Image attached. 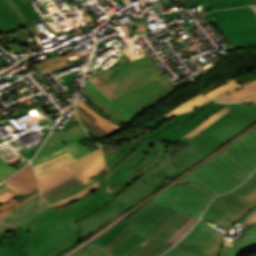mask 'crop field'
Segmentation results:
<instances>
[{
  "mask_svg": "<svg viewBox=\"0 0 256 256\" xmlns=\"http://www.w3.org/2000/svg\"><path fill=\"white\" fill-rule=\"evenodd\" d=\"M104 169V158L101 155L76 171L63 167L39 179L40 190L43 195L41 193L36 195L12 212L1 217L0 223L17 227L51 206L57 209L89 195L102 186L95 182L51 205L45 201L90 180Z\"/></svg>",
  "mask_w": 256,
  "mask_h": 256,
  "instance_id": "obj_1",
  "label": "crop field"
},
{
  "mask_svg": "<svg viewBox=\"0 0 256 256\" xmlns=\"http://www.w3.org/2000/svg\"><path fill=\"white\" fill-rule=\"evenodd\" d=\"M255 169L256 129L198 167L176 185L195 181L218 195L238 186Z\"/></svg>",
  "mask_w": 256,
  "mask_h": 256,
  "instance_id": "obj_2",
  "label": "crop field"
},
{
  "mask_svg": "<svg viewBox=\"0 0 256 256\" xmlns=\"http://www.w3.org/2000/svg\"><path fill=\"white\" fill-rule=\"evenodd\" d=\"M232 112H228L193 138L179 140L190 145L173 157L180 172L170 180L195 166L220 145L253 124Z\"/></svg>",
  "mask_w": 256,
  "mask_h": 256,
  "instance_id": "obj_3",
  "label": "crop field"
},
{
  "mask_svg": "<svg viewBox=\"0 0 256 256\" xmlns=\"http://www.w3.org/2000/svg\"><path fill=\"white\" fill-rule=\"evenodd\" d=\"M168 93L169 91L156 79L113 99L125 109L123 110L104 96L91 82L85 84L84 92H82L99 109L126 124L151 107L154 102L167 96Z\"/></svg>",
  "mask_w": 256,
  "mask_h": 256,
  "instance_id": "obj_4",
  "label": "crop field"
},
{
  "mask_svg": "<svg viewBox=\"0 0 256 256\" xmlns=\"http://www.w3.org/2000/svg\"><path fill=\"white\" fill-rule=\"evenodd\" d=\"M158 188L160 187L138 179L109 204L95 211L86 218L75 222L82 228L78 235L84 237L107 224L120 213L126 211Z\"/></svg>",
  "mask_w": 256,
  "mask_h": 256,
  "instance_id": "obj_5",
  "label": "crop field"
},
{
  "mask_svg": "<svg viewBox=\"0 0 256 256\" xmlns=\"http://www.w3.org/2000/svg\"><path fill=\"white\" fill-rule=\"evenodd\" d=\"M216 26L237 48L256 46V14L250 7L212 11Z\"/></svg>",
  "mask_w": 256,
  "mask_h": 256,
  "instance_id": "obj_6",
  "label": "crop field"
},
{
  "mask_svg": "<svg viewBox=\"0 0 256 256\" xmlns=\"http://www.w3.org/2000/svg\"><path fill=\"white\" fill-rule=\"evenodd\" d=\"M73 222L75 221L59 208L55 210L52 207L18 227L27 228L30 226L32 228L29 242L30 252L32 256H37L53 246L55 243L50 240Z\"/></svg>",
  "mask_w": 256,
  "mask_h": 256,
  "instance_id": "obj_7",
  "label": "crop field"
},
{
  "mask_svg": "<svg viewBox=\"0 0 256 256\" xmlns=\"http://www.w3.org/2000/svg\"><path fill=\"white\" fill-rule=\"evenodd\" d=\"M213 197L214 195L201 186L190 183L182 186H173L152 200L198 218Z\"/></svg>",
  "mask_w": 256,
  "mask_h": 256,
  "instance_id": "obj_8",
  "label": "crop field"
},
{
  "mask_svg": "<svg viewBox=\"0 0 256 256\" xmlns=\"http://www.w3.org/2000/svg\"><path fill=\"white\" fill-rule=\"evenodd\" d=\"M148 142H130L111 146L104 153L107 173L98 182L107 190L136 169L128 167ZM122 158V160H121Z\"/></svg>",
  "mask_w": 256,
  "mask_h": 256,
  "instance_id": "obj_9",
  "label": "crop field"
},
{
  "mask_svg": "<svg viewBox=\"0 0 256 256\" xmlns=\"http://www.w3.org/2000/svg\"><path fill=\"white\" fill-rule=\"evenodd\" d=\"M88 138L81 125L49 135L32 161L33 166L68 152L76 160L89 153L77 141Z\"/></svg>",
  "mask_w": 256,
  "mask_h": 256,
  "instance_id": "obj_10",
  "label": "crop field"
},
{
  "mask_svg": "<svg viewBox=\"0 0 256 256\" xmlns=\"http://www.w3.org/2000/svg\"><path fill=\"white\" fill-rule=\"evenodd\" d=\"M254 205L228 193L216 197L206 208L202 218L230 230Z\"/></svg>",
  "mask_w": 256,
  "mask_h": 256,
  "instance_id": "obj_11",
  "label": "crop field"
},
{
  "mask_svg": "<svg viewBox=\"0 0 256 256\" xmlns=\"http://www.w3.org/2000/svg\"><path fill=\"white\" fill-rule=\"evenodd\" d=\"M136 169L145 173L140 179L158 186L167 182L178 170L170 157L167 147L157 142ZM163 176L165 177L164 179L162 178Z\"/></svg>",
  "mask_w": 256,
  "mask_h": 256,
  "instance_id": "obj_12",
  "label": "crop field"
},
{
  "mask_svg": "<svg viewBox=\"0 0 256 256\" xmlns=\"http://www.w3.org/2000/svg\"><path fill=\"white\" fill-rule=\"evenodd\" d=\"M28 19L21 21L5 0H0V32L8 33L28 27L33 35L40 34L36 24L42 22V17L29 0H13ZM35 38V37H34ZM36 40V39H35Z\"/></svg>",
  "mask_w": 256,
  "mask_h": 256,
  "instance_id": "obj_13",
  "label": "crop field"
},
{
  "mask_svg": "<svg viewBox=\"0 0 256 256\" xmlns=\"http://www.w3.org/2000/svg\"><path fill=\"white\" fill-rule=\"evenodd\" d=\"M224 237L225 233L206 226L204 221L200 220L195 228L176 245L208 256H217Z\"/></svg>",
  "mask_w": 256,
  "mask_h": 256,
  "instance_id": "obj_14",
  "label": "crop field"
},
{
  "mask_svg": "<svg viewBox=\"0 0 256 256\" xmlns=\"http://www.w3.org/2000/svg\"><path fill=\"white\" fill-rule=\"evenodd\" d=\"M223 106L212 102L208 105L196 109L191 115L187 116L183 121L178 124H174L152 140H166L170 142H176L186 133H188L196 125L204 121L211 114L220 110Z\"/></svg>",
  "mask_w": 256,
  "mask_h": 256,
  "instance_id": "obj_15",
  "label": "crop field"
},
{
  "mask_svg": "<svg viewBox=\"0 0 256 256\" xmlns=\"http://www.w3.org/2000/svg\"><path fill=\"white\" fill-rule=\"evenodd\" d=\"M78 117L86 131L95 139L110 136L121 127L101 117L79 98L75 102Z\"/></svg>",
  "mask_w": 256,
  "mask_h": 256,
  "instance_id": "obj_16",
  "label": "crop field"
},
{
  "mask_svg": "<svg viewBox=\"0 0 256 256\" xmlns=\"http://www.w3.org/2000/svg\"><path fill=\"white\" fill-rule=\"evenodd\" d=\"M173 212L175 210L151 201L128 221L142 234L149 235Z\"/></svg>",
  "mask_w": 256,
  "mask_h": 256,
  "instance_id": "obj_17",
  "label": "crop field"
},
{
  "mask_svg": "<svg viewBox=\"0 0 256 256\" xmlns=\"http://www.w3.org/2000/svg\"><path fill=\"white\" fill-rule=\"evenodd\" d=\"M114 197L115 196L102 187L89 196L73 204L60 207V209L72 217L75 221H78L107 204Z\"/></svg>",
  "mask_w": 256,
  "mask_h": 256,
  "instance_id": "obj_18",
  "label": "crop field"
},
{
  "mask_svg": "<svg viewBox=\"0 0 256 256\" xmlns=\"http://www.w3.org/2000/svg\"><path fill=\"white\" fill-rule=\"evenodd\" d=\"M103 154L102 149H98L92 153H89L82 157L79 160H75L73 157H71L68 153L65 155H62L60 157L54 158L52 160H49L47 162H44L40 165H37L34 167V171L36 173L37 178H41L63 166H66L68 168H71L73 170L83 166L84 164L90 162L91 160L95 159L99 155Z\"/></svg>",
  "mask_w": 256,
  "mask_h": 256,
  "instance_id": "obj_19",
  "label": "crop field"
},
{
  "mask_svg": "<svg viewBox=\"0 0 256 256\" xmlns=\"http://www.w3.org/2000/svg\"><path fill=\"white\" fill-rule=\"evenodd\" d=\"M150 65H153V62L149 58V56L144 57L142 59H137L133 62L127 63L125 65L119 66L117 68L108 70L106 72L97 74L95 76H90L89 78L97 85H101L104 83H107L109 81H112L114 79H117L119 77L125 76L127 74H130L132 72H135L137 70L143 69L145 67H148ZM111 77V79H110Z\"/></svg>",
  "mask_w": 256,
  "mask_h": 256,
  "instance_id": "obj_20",
  "label": "crop field"
},
{
  "mask_svg": "<svg viewBox=\"0 0 256 256\" xmlns=\"http://www.w3.org/2000/svg\"><path fill=\"white\" fill-rule=\"evenodd\" d=\"M29 228L26 230L6 227L0 232V246L12 255L28 246Z\"/></svg>",
  "mask_w": 256,
  "mask_h": 256,
  "instance_id": "obj_21",
  "label": "crop field"
},
{
  "mask_svg": "<svg viewBox=\"0 0 256 256\" xmlns=\"http://www.w3.org/2000/svg\"><path fill=\"white\" fill-rule=\"evenodd\" d=\"M81 228L75 223L67 226L63 229L52 241L57 244L51 247L49 250L41 254L40 256H54L79 242L82 237L76 235Z\"/></svg>",
  "mask_w": 256,
  "mask_h": 256,
  "instance_id": "obj_22",
  "label": "crop field"
},
{
  "mask_svg": "<svg viewBox=\"0 0 256 256\" xmlns=\"http://www.w3.org/2000/svg\"><path fill=\"white\" fill-rule=\"evenodd\" d=\"M6 182L25 192L26 194L38 188L37 180L31 165H28L20 172L15 174Z\"/></svg>",
  "mask_w": 256,
  "mask_h": 256,
  "instance_id": "obj_23",
  "label": "crop field"
},
{
  "mask_svg": "<svg viewBox=\"0 0 256 256\" xmlns=\"http://www.w3.org/2000/svg\"><path fill=\"white\" fill-rule=\"evenodd\" d=\"M190 216L176 211L160 227L150 234L152 237L167 239L171 236Z\"/></svg>",
  "mask_w": 256,
  "mask_h": 256,
  "instance_id": "obj_24",
  "label": "crop field"
},
{
  "mask_svg": "<svg viewBox=\"0 0 256 256\" xmlns=\"http://www.w3.org/2000/svg\"><path fill=\"white\" fill-rule=\"evenodd\" d=\"M255 250L256 225L234 246L232 250L221 247L218 256H240L243 253Z\"/></svg>",
  "mask_w": 256,
  "mask_h": 256,
  "instance_id": "obj_25",
  "label": "crop field"
},
{
  "mask_svg": "<svg viewBox=\"0 0 256 256\" xmlns=\"http://www.w3.org/2000/svg\"><path fill=\"white\" fill-rule=\"evenodd\" d=\"M156 78H158L170 92L175 90V89H177L166 79V77L160 71H158V72H156L154 74H151V75H149L147 77H144V78H142L140 80H137V81L132 82V83H130L128 85H125V86H123V87H121V88H119V89H117V90H115V91H113V92H111L109 94H107V93L106 94L111 99H113V98H115V97H117V96H119L121 94H124V93H126V92H128V91H130V90H132L134 88H137V87H139V86H141V85H143L145 83H148V82H150V81H152V80H154Z\"/></svg>",
  "mask_w": 256,
  "mask_h": 256,
  "instance_id": "obj_26",
  "label": "crop field"
},
{
  "mask_svg": "<svg viewBox=\"0 0 256 256\" xmlns=\"http://www.w3.org/2000/svg\"><path fill=\"white\" fill-rule=\"evenodd\" d=\"M156 71H158V69L155 65H153L151 67H148V68H145L143 70L137 71V72L132 73L130 75H127L125 77H122V78H119V79L114 80L112 82H109L107 84L101 85L98 88H100L103 91V93L106 94V93H109V92H111V91H113V90H115V89H117V88H119V87H121L125 84H128L132 81H135L139 78L147 76V75H149L151 73H154Z\"/></svg>",
  "mask_w": 256,
  "mask_h": 256,
  "instance_id": "obj_27",
  "label": "crop field"
},
{
  "mask_svg": "<svg viewBox=\"0 0 256 256\" xmlns=\"http://www.w3.org/2000/svg\"><path fill=\"white\" fill-rule=\"evenodd\" d=\"M171 246L172 244L158 241L152 238L148 243L144 244L129 256H159L168 250Z\"/></svg>",
  "mask_w": 256,
  "mask_h": 256,
  "instance_id": "obj_28",
  "label": "crop field"
},
{
  "mask_svg": "<svg viewBox=\"0 0 256 256\" xmlns=\"http://www.w3.org/2000/svg\"><path fill=\"white\" fill-rule=\"evenodd\" d=\"M210 101H212V100H210L209 98H207L205 96L198 94V95L182 102L179 106H177L176 108H174L173 110H171L170 112L165 114V116L170 118L177 114L191 111V110H193L199 106H202Z\"/></svg>",
  "mask_w": 256,
  "mask_h": 256,
  "instance_id": "obj_29",
  "label": "crop field"
},
{
  "mask_svg": "<svg viewBox=\"0 0 256 256\" xmlns=\"http://www.w3.org/2000/svg\"><path fill=\"white\" fill-rule=\"evenodd\" d=\"M72 56L71 53L61 57H55V58H51L48 59L44 62H41L37 65H35V67L41 72V74L43 76L50 74L52 72H55L61 68H65L67 66H69V64L67 62H69L66 58Z\"/></svg>",
  "mask_w": 256,
  "mask_h": 256,
  "instance_id": "obj_30",
  "label": "crop field"
},
{
  "mask_svg": "<svg viewBox=\"0 0 256 256\" xmlns=\"http://www.w3.org/2000/svg\"><path fill=\"white\" fill-rule=\"evenodd\" d=\"M150 239H151L150 237L146 238L145 240L140 242L138 245H136L134 248H132L130 251L125 253L123 256L129 255L130 253L135 251L138 247L142 246L144 243H146ZM105 254L107 256H113V254L111 252H109L106 249H104L103 247L93 243V244H91L87 247H84V248L78 250L77 252H75L71 256H103Z\"/></svg>",
  "mask_w": 256,
  "mask_h": 256,
  "instance_id": "obj_31",
  "label": "crop field"
},
{
  "mask_svg": "<svg viewBox=\"0 0 256 256\" xmlns=\"http://www.w3.org/2000/svg\"><path fill=\"white\" fill-rule=\"evenodd\" d=\"M231 193L256 204V172L245 184L241 185Z\"/></svg>",
  "mask_w": 256,
  "mask_h": 256,
  "instance_id": "obj_32",
  "label": "crop field"
},
{
  "mask_svg": "<svg viewBox=\"0 0 256 256\" xmlns=\"http://www.w3.org/2000/svg\"><path fill=\"white\" fill-rule=\"evenodd\" d=\"M244 88L233 91L229 94H226L220 98L215 99L216 101H227V102H236L240 99H243L247 96H250L256 93V80L244 84Z\"/></svg>",
  "mask_w": 256,
  "mask_h": 256,
  "instance_id": "obj_33",
  "label": "crop field"
},
{
  "mask_svg": "<svg viewBox=\"0 0 256 256\" xmlns=\"http://www.w3.org/2000/svg\"><path fill=\"white\" fill-rule=\"evenodd\" d=\"M129 225L130 224L127 222V219H124L122 222H120L115 227H113L108 232H106L104 235H102L97 240H95V243L104 247L107 243H109L112 239H114L118 234H120Z\"/></svg>",
  "mask_w": 256,
  "mask_h": 256,
  "instance_id": "obj_34",
  "label": "crop field"
},
{
  "mask_svg": "<svg viewBox=\"0 0 256 256\" xmlns=\"http://www.w3.org/2000/svg\"><path fill=\"white\" fill-rule=\"evenodd\" d=\"M147 236L141 235L137 231L131 235L125 242H123L117 249H115L112 253L115 256H121L125 252H127L129 249L134 247L136 244H138L140 241L145 239Z\"/></svg>",
  "mask_w": 256,
  "mask_h": 256,
  "instance_id": "obj_35",
  "label": "crop field"
},
{
  "mask_svg": "<svg viewBox=\"0 0 256 256\" xmlns=\"http://www.w3.org/2000/svg\"><path fill=\"white\" fill-rule=\"evenodd\" d=\"M243 87L241 84L237 83L236 81L232 80L224 85H221L220 87L214 89L213 91L205 94L206 96L215 99L217 97H220L226 93H229L235 89H239ZM236 91V90H235Z\"/></svg>",
  "mask_w": 256,
  "mask_h": 256,
  "instance_id": "obj_36",
  "label": "crop field"
},
{
  "mask_svg": "<svg viewBox=\"0 0 256 256\" xmlns=\"http://www.w3.org/2000/svg\"><path fill=\"white\" fill-rule=\"evenodd\" d=\"M228 110L227 108H222L220 111H218L217 113H215L214 115L210 116L208 119H206L204 122H202L201 124H199L198 126H196L194 129H192L188 134H186L184 137L186 138H191L193 137L195 134H197L198 132H200L201 130H203L205 127H207L208 125H210L211 123H213L215 120H217L218 118H220L221 116H223L225 113H227Z\"/></svg>",
  "mask_w": 256,
  "mask_h": 256,
  "instance_id": "obj_37",
  "label": "crop field"
},
{
  "mask_svg": "<svg viewBox=\"0 0 256 256\" xmlns=\"http://www.w3.org/2000/svg\"><path fill=\"white\" fill-rule=\"evenodd\" d=\"M18 195L20 194L11 189L0 194V214L18 203L12 199Z\"/></svg>",
  "mask_w": 256,
  "mask_h": 256,
  "instance_id": "obj_38",
  "label": "crop field"
},
{
  "mask_svg": "<svg viewBox=\"0 0 256 256\" xmlns=\"http://www.w3.org/2000/svg\"><path fill=\"white\" fill-rule=\"evenodd\" d=\"M141 175H143V173L137 170L108 191H110L112 194L116 196L125 188H127L130 184H132L135 180H137Z\"/></svg>",
  "mask_w": 256,
  "mask_h": 256,
  "instance_id": "obj_39",
  "label": "crop field"
},
{
  "mask_svg": "<svg viewBox=\"0 0 256 256\" xmlns=\"http://www.w3.org/2000/svg\"><path fill=\"white\" fill-rule=\"evenodd\" d=\"M197 219L190 217L171 237L166 241L175 244L179 239H181L195 224Z\"/></svg>",
  "mask_w": 256,
  "mask_h": 256,
  "instance_id": "obj_40",
  "label": "crop field"
},
{
  "mask_svg": "<svg viewBox=\"0 0 256 256\" xmlns=\"http://www.w3.org/2000/svg\"><path fill=\"white\" fill-rule=\"evenodd\" d=\"M136 230L130 225L125 231H123L119 236H117L113 241H111L106 248L109 251H113L117 248L123 241H125L131 234H133Z\"/></svg>",
  "mask_w": 256,
  "mask_h": 256,
  "instance_id": "obj_41",
  "label": "crop field"
},
{
  "mask_svg": "<svg viewBox=\"0 0 256 256\" xmlns=\"http://www.w3.org/2000/svg\"><path fill=\"white\" fill-rule=\"evenodd\" d=\"M249 5L245 0H224L212 4H208L210 9L232 8Z\"/></svg>",
  "mask_w": 256,
  "mask_h": 256,
  "instance_id": "obj_42",
  "label": "crop field"
},
{
  "mask_svg": "<svg viewBox=\"0 0 256 256\" xmlns=\"http://www.w3.org/2000/svg\"><path fill=\"white\" fill-rule=\"evenodd\" d=\"M220 104L224 105L225 107H227L234 113L242 116L243 118H245L253 123L256 122V115L244 110L243 108L237 106L236 104H234V103H220Z\"/></svg>",
  "mask_w": 256,
  "mask_h": 256,
  "instance_id": "obj_43",
  "label": "crop field"
},
{
  "mask_svg": "<svg viewBox=\"0 0 256 256\" xmlns=\"http://www.w3.org/2000/svg\"><path fill=\"white\" fill-rule=\"evenodd\" d=\"M162 256H204L201 254H197L185 249H181L178 247H174L173 249H171L169 252L165 253Z\"/></svg>",
  "mask_w": 256,
  "mask_h": 256,
  "instance_id": "obj_44",
  "label": "crop field"
},
{
  "mask_svg": "<svg viewBox=\"0 0 256 256\" xmlns=\"http://www.w3.org/2000/svg\"><path fill=\"white\" fill-rule=\"evenodd\" d=\"M193 112V111H192ZM192 112H189V113H185V114H182V115H179V116H176L174 118H171L174 120V122H170L168 124H166L165 126L161 127L160 129H158L157 131H155L154 133H152L151 135L141 139V140H150L152 139L153 137H155L157 134H159L161 131L165 130L166 128H168L170 125H172L173 123L175 122H180L181 120H183L187 115H189L190 113ZM174 125V124H173ZM162 133V132H161Z\"/></svg>",
  "mask_w": 256,
  "mask_h": 256,
  "instance_id": "obj_45",
  "label": "crop field"
},
{
  "mask_svg": "<svg viewBox=\"0 0 256 256\" xmlns=\"http://www.w3.org/2000/svg\"><path fill=\"white\" fill-rule=\"evenodd\" d=\"M14 168L6 164L1 158H0V178L5 180L10 175H12L14 172H16Z\"/></svg>",
  "mask_w": 256,
  "mask_h": 256,
  "instance_id": "obj_46",
  "label": "crop field"
},
{
  "mask_svg": "<svg viewBox=\"0 0 256 256\" xmlns=\"http://www.w3.org/2000/svg\"><path fill=\"white\" fill-rule=\"evenodd\" d=\"M216 1H220V0H188L185 2H181V5L184 7V9H186L189 7L199 6V5L208 4Z\"/></svg>",
  "mask_w": 256,
  "mask_h": 256,
  "instance_id": "obj_47",
  "label": "crop field"
},
{
  "mask_svg": "<svg viewBox=\"0 0 256 256\" xmlns=\"http://www.w3.org/2000/svg\"><path fill=\"white\" fill-rule=\"evenodd\" d=\"M93 182H95V180L92 179V180L88 181L87 183H84V184H82V185H80V186H78V187H76V188H74V189L64 193V194H61L59 196H56V197H54L52 199L47 200V202H49L51 204V203H53V202H55V201L65 197V196H67V195H69V194H71V193H73V192H75V191H77V190H79V189H81V188H83V187L93 183Z\"/></svg>",
  "mask_w": 256,
  "mask_h": 256,
  "instance_id": "obj_48",
  "label": "crop field"
},
{
  "mask_svg": "<svg viewBox=\"0 0 256 256\" xmlns=\"http://www.w3.org/2000/svg\"><path fill=\"white\" fill-rule=\"evenodd\" d=\"M155 142H149L148 145L143 149V151L139 154V156L136 158V160L134 161V163H132L130 165V167L135 168L138 163L143 159V157L145 156V154L149 151V149L154 145Z\"/></svg>",
  "mask_w": 256,
  "mask_h": 256,
  "instance_id": "obj_49",
  "label": "crop field"
},
{
  "mask_svg": "<svg viewBox=\"0 0 256 256\" xmlns=\"http://www.w3.org/2000/svg\"><path fill=\"white\" fill-rule=\"evenodd\" d=\"M256 224V209L246 218L243 225Z\"/></svg>",
  "mask_w": 256,
  "mask_h": 256,
  "instance_id": "obj_50",
  "label": "crop field"
},
{
  "mask_svg": "<svg viewBox=\"0 0 256 256\" xmlns=\"http://www.w3.org/2000/svg\"><path fill=\"white\" fill-rule=\"evenodd\" d=\"M6 1L13 8V10L17 13V15L21 18V20L26 19L25 15L20 11V9L16 6V4L12 0H6Z\"/></svg>",
  "mask_w": 256,
  "mask_h": 256,
  "instance_id": "obj_51",
  "label": "crop field"
},
{
  "mask_svg": "<svg viewBox=\"0 0 256 256\" xmlns=\"http://www.w3.org/2000/svg\"><path fill=\"white\" fill-rule=\"evenodd\" d=\"M167 119L168 118H166L165 116L162 115L161 117H159V118H157V119L147 123L145 126L150 129L151 127H153V126H155V125H157V124H159V123H161V122H163V121H165Z\"/></svg>",
  "mask_w": 256,
  "mask_h": 256,
  "instance_id": "obj_52",
  "label": "crop field"
},
{
  "mask_svg": "<svg viewBox=\"0 0 256 256\" xmlns=\"http://www.w3.org/2000/svg\"><path fill=\"white\" fill-rule=\"evenodd\" d=\"M141 26H143V25L141 23H139V24H136L134 26L125 25V26H122L120 28L124 32V34H126L128 32H131V30H133V29H135L137 27H141Z\"/></svg>",
  "mask_w": 256,
  "mask_h": 256,
  "instance_id": "obj_53",
  "label": "crop field"
},
{
  "mask_svg": "<svg viewBox=\"0 0 256 256\" xmlns=\"http://www.w3.org/2000/svg\"><path fill=\"white\" fill-rule=\"evenodd\" d=\"M236 104L243 107L244 109L256 114V103H253L251 107H249L243 103H236Z\"/></svg>",
  "mask_w": 256,
  "mask_h": 256,
  "instance_id": "obj_54",
  "label": "crop field"
},
{
  "mask_svg": "<svg viewBox=\"0 0 256 256\" xmlns=\"http://www.w3.org/2000/svg\"><path fill=\"white\" fill-rule=\"evenodd\" d=\"M38 193H40V191H39V192H37V193H35V194H33L32 196H30V197L26 198L25 200H23V201L19 202L17 205H15L13 208L9 209L8 211H6V212L2 213V214L0 215V217H1V216H3V215H5L6 213H8V212L12 211L15 207L19 206L20 204H22L23 202H25V201H27L28 199L32 198L33 196H35V195H36V194H38Z\"/></svg>",
  "mask_w": 256,
  "mask_h": 256,
  "instance_id": "obj_55",
  "label": "crop field"
},
{
  "mask_svg": "<svg viewBox=\"0 0 256 256\" xmlns=\"http://www.w3.org/2000/svg\"><path fill=\"white\" fill-rule=\"evenodd\" d=\"M13 256H30L28 247Z\"/></svg>",
  "mask_w": 256,
  "mask_h": 256,
  "instance_id": "obj_56",
  "label": "crop field"
},
{
  "mask_svg": "<svg viewBox=\"0 0 256 256\" xmlns=\"http://www.w3.org/2000/svg\"><path fill=\"white\" fill-rule=\"evenodd\" d=\"M0 256H12V255L8 253L5 249L0 247Z\"/></svg>",
  "mask_w": 256,
  "mask_h": 256,
  "instance_id": "obj_57",
  "label": "crop field"
},
{
  "mask_svg": "<svg viewBox=\"0 0 256 256\" xmlns=\"http://www.w3.org/2000/svg\"><path fill=\"white\" fill-rule=\"evenodd\" d=\"M57 52L58 51L56 50L54 52L48 53L47 55L49 56V58L54 57V56H58L59 54Z\"/></svg>",
  "mask_w": 256,
  "mask_h": 256,
  "instance_id": "obj_58",
  "label": "crop field"
},
{
  "mask_svg": "<svg viewBox=\"0 0 256 256\" xmlns=\"http://www.w3.org/2000/svg\"><path fill=\"white\" fill-rule=\"evenodd\" d=\"M4 184L8 185L11 189H13V190H15V191L21 193L22 195L25 194V193L21 192L20 190L16 189L15 187L11 186L10 184H8V183H6V182H5Z\"/></svg>",
  "mask_w": 256,
  "mask_h": 256,
  "instance_id": "obj_59",
  "label": "crop field"
},
{
  "mask_svg": "<svg viewBox=\"0 0 256 256\" xmlns=\"http://www.w3.org/2000/svg\"><path fill=\"white\" fill-rule=\"evenodd\" d=\"M115 38H116V37H115ZM112 39H114V38H112ZM112 39H109V40H106V41H104V42L98 43V44H97V47L104 46L106 42H108V41H110V40H112ZM97 47H96V48H97Z\"/></svg>",
  "mask_w": 256,
  "mask_h": 256,
  "instance_id": "obj_60",
  "label": "crop field"
},
{
  "mask_svg": "<svg viewBox=\"0 0 256 256\" xmlns=\"http://www.w3.org/2000/svg\"><path fill=\"white\" fill-rule=\"evenodd\" d=\"M247 2H248L250 5H255V4H256V0H247Z\"/></svg>",
  "mask_w": 256,
  "mask_h": 256,
  "instance_id": "obj_61",
  "label": "crop field"
},
{
  "mask_svg": "<svg viewBox=\"0 0 256 256\" xmlns=\"http://www.w3.org/2000/svg\"><path fill=\"white\" fill-rule=\"evenodd\" d=\"M245 101H256V96H254V97H252V98H249V99H247V100H245Z\"/></svg>",
  "mask_w": 256,
  "mask_h": 256,
  "instance_id": "obj_62",
  "label": "crop field"
},
{
  "mask_svg": "<svg viewBox=\"0 0 256 256\" xmlns=\"http://www.w3.org/2000/svg\"><path fill=\"white\" fill-rule=\"evenodd\" d=\"M7 189H9V187H7V186L1 188V189H0V193L3 192V191H5V190H7Z\"/></svg>",
  "mask_w": 256,
  "mask_h": 256,
  "instance_id": "obj_63",
  "label": "crop field"
},
{
  "mask_svg": "<svg viewBox=\"0 0 256 256\" xmlns=\"http://www.w3.org/2000/svg\"><path fill=\"white\" fill-rule=\"evenodd\" d=\"M105 172V170L103 172H101L99 175H97L96 177H94V179L96 180L97 177H99L101 174H103ZM98 179V178H97Z\"/></svg>",
  "mask_w": 256,
  "mask_h": 256,
  "instance_id": "obj_64",
  "label": "crop field"
},
{
  "mask_svg": "<svg viewBox=\"0 0 256 256\" xmlns=\"http://www.w3.org/2000/svg\"><path fill=\"white\" fill-rule=\"evenodd\" d=\"M4 227H6V225H1V224H0V231H1ZM4 229H5V228H4Z\"/></svg>",
  "mask_w": 256,
  "mask_h": 256,
  "instance_id": "obj_65",
  "label": "crop field"
},
{
  "mask_svg": "<svg viewBox=\"0 0 256 256\" xmlns=\"http://www.w3.org/2000/svg\"><path fill=\"white\" fill-rule=\"evenodd\" d=\"M108 148H109V147H103L104 152H105Z\"/></svg>",
  "mask_w": 256,
  "mask_h": 256,
  "instance_id": "obj_66",
  "label": "crop field"
},
{
  "mask_svg": "<svg viewBox=\"0 0 256 256\" xmlns=\"http://www.w3.org/2000/svg\"><path fill=\"white\" fill-rule=\"evenodd\" d=\"M252 8L256 11V5H255V6H252Z\"/></svg>",
  "mask_w": 256,
  "mask_h": 256,
  "instance_id": "obj_67",
  "label": "crop field"
},
{
  "mask_svg": "<svg viewBox=\"0 0 256 256\" xmlns=\"http://www.w3.org/2000/svg\"><path fill=\"white\" fill-rule=\"evenodd\" d=\"M254 95H256V94H254ZM254 95H252V96H254ZM252 96H250V97H252ZM247 98H249V97H247ZM247 98H245V99H247ZM245 99H243V100H245ZM243 100H240V101H243Z\"/></svg>",
  "mask_w": 256,
  "mask_h": 256,
  "instance_id": "obj_68",
  "label": "crop field"
},
{
  "mask_svg": "<svg viewBox=\"0 0 256 256\" xmlns=\"http://www.w3.org/2000/svg\"><path fill=\"white\" fill-rule=\"evenodd\" d=\"M37 191H39V190H37ZM37 191H36V192H37ZM34 193H35V192H34ZM31 195H32V194H31ZM29 196H30V195H29ZM27 197H28V196H27ZM25 198H26V197H25ZM25 198H24V199H25ZM22 200H23V199H22ZM20 201H21V200H20ZM18 202H19V201H18Z\"/></svg>",
  "mask_w": 256,
  "mask_h": 256,
  "instance_id": "obj_69",
  "label": "crop field"
},
{
  "mask_svg": "<svg viewBox=\"0 0 256 256\" xmlns=\"http://www.w3.org/2000/svg\"><path fill=\"white\" fill-rule=\"evenodd\" d=\"M3 186H5V185L2 184V185L0 186V188L3 187Z\"/></svg>",
  "mask_w": 256,
  "mask_h": 256,
  "instance_id": "obj_70",
  "label": "crop field"
},
{
  "mask_svg": "<svg viewBox=\"0 0 256 256\" xmlns=\"http://www.w3.org/2000/svg\"><path fill=\"white\" fill-rule=\"evenodd\" d=\"M0 181H3V180L0 179Z\"/></svg>",
  "mask_w": 256,
  "mask_h": 256,
  "instance_id": "obj_71",
  "label": "crop field"
},
{
  "mask_svg": "<svg viewBox=\"0 0 256 256\" xmlns=\"http://www.w3.org/2000/svg\"><path fill=\"white\" fill-rule=\"evenodd\" d=\"M106 256V255H105Z\"/></svg>",
  "mask_w": 256,
  "mask_h": 256,
  "instance_id": "obj_72",
  "label": "crop field"
},
{
  "mask_svg": "<svg viewBox=\"0 0 256 256\" xmlns=\"http://www.w3.org/2000/svg\"><path fill=\"white\" fill-rule=\"evenodd\" d=\"M1 34V33H0Z\"/></svg>",
  "mask_w": 256,
  "mask_h": 256,
  "instance_id": "obj_73",
  "label": "crop field"
}]
</instances>
